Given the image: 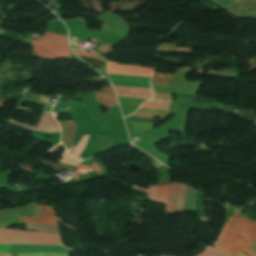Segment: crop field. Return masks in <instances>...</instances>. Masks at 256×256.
I'll use <instances>...</instances> for the list:
<instances>
[{
	"label": "crop field",
	"mask_w": 256,
	"mask_h": 256,
	"mask_svg": "<svg viewBox=\"0 0 256 256\" xmlns=\"http://www.w3.org/2000/svg\"><path fill=\"white\" fill-rule=\"evenodd\" d=\"M256 240V222L233 214L215 246L235 256H256L250 251Z\"/></svg>",
	"instance_id": "8a807250"
},
{
	"label": "crop field",
	"mask_w": 256,
	"mask_h": 256,
	"mask_svg": "<svg viewBox=\"0 0 256 256\" xmlns=\"http://www.w3.org/2000/svg\"><path fill=\"white\" fill-rule=\"evenodd\" d=\"M107 73L151 76L154 68L118 65L107 62ZM108 74L113 85L150 88V77ZM114 86L118 96L149 99L152 89Z\"/></svg>",
	"instance_id": "ac0d7876"
},
{
	"label": "crop field",
	"mask_w": 256,
	"mask_h": 256,
	"mask_svg": "<svg viewBox=\"0 0 256 256\" xmlns=\"http://www.w3.org/2000/svg\"><path fill=\"white\" fill-rule=\"evenodd\" d=\"M33 55L51 58L69 56L67 36L46 32L39 40H34Z\"/></svg>",
	"instance_id": "34b2d1b8"
},
{
	"label": "crop field",
	"mask_w": 256,
	"mask_h": 256,
	"mask_svg": "<svg viewBox=\"0 0 256 256\" xmlns=\"http://www.w3.org/2000/svg\"><path fill=\"white\" fill-rule=\"evenodd\" d=\"M0 243L57 244V235L0 229Z\"/></svg>",
	"instance_id": "412701ff"
},
{
	"label": "crop field",
	"mask_w": 256,
	"mask_h": 256,
	"mask_svg": "<svg viewBox=\"0 0 256 256\" xmlns=\"http://www.w3.org/2000/svg\"><path fill=\"white\" fill-rule=\"evenodd\" d=\"M6 122L32 132H34L35 130L42 132H59L58 125L53 116L42 115L38 127L36 126L37 128L16 122L11 119L7 120Z\"/></svg>",
	"instance_id": "f4fd0767"
},
{
	"label": "crop field",
	"mask_w": 256,
	"mask_h": 256,
	"mask_svg": "<svg viewBox=\"0 0 256 256\" xmlns=\"http://www.w3.org/2000/svg\"><path fill=\"white\" fill-rule=\"evenodd\" d=\"M24 251H63L66 250L62 246H31V245H0V252H24Z\"/></svg>",
	"instance_id": "dd49c442"
},
{
	"label": "crop field",
	"mask_w": 256,
	"mask_h": 256,
	"mask_svg": "<svg viewBox=\"0 0 256 256\" xmlns=\"http://www.w3.org/2000/svg\"><path fill=\"white\" fill-rule=\"evenodd\" d=\"M179 184L172 183L166 203V208H165V214H173L174 211V198H175V193L178 188ZM170 185H163L159 187V193H158V199L157 202L165 204L168 190H169Z\"/></svg>",
	"instance_id": "e52e79f7"
},
{
	"label": "crop field",
	"mask_w": 256,
	"mask_h": 256,
	"mask_svg": "<svg viewBox=\"0 0 256 256\" xmlns=\"http://www.w3.org/2000/svg\"><path fill=\"white\" fill-rule=\"evenodd\" d=\"M103 88L104 89H102V91L95 92L96 100L99 103L108 107H112L116 105L117 104L116 98L111 86L103 87Z\"/></svg>",
	"instance_id": "d8731c3e"
},
{
	"label": "crop field",
	"mask_w": 256,
	"mask_h": 256,
	"mask_svg": "<svg viewBox=\"0 0 256 256\" xmlns=\"http://www.w3.org/2000/svg\"><path fill=\"white\" fill-rule=\"evenodd\" d=\"M62 129V143L67 147L73 144L75 125L74 121L71 122H59Z\"/></svg>",
	"instance_id": "5a996713"
},
{
	"label": "crop field",
	"mask_w": 256,
	"mask_h": 256,
	"mask_svg": "<svg viewBox=\"0 0 256 256\" xmlns=\"http://www.w3.org/2000/svg\"><path fill=\"white\" fill-rule=\"evenodd\" d=\"M169 102L170 100H157V99H150L141 106V108L144 109H163V110H168L169 108Z\"/></svg>",
	"instance_id": "3316defc"
},
{
	"label": "crop field",
	"mask_w": 256,
	"mask_h": 256,
	"mask_svg": "<svg viewBox=\"0 0 256 256\" xmlns=\"http://www.w3.org/2000/svg\"><path fill=\"white\" fill-rule=\"evenodd\" d=\"M69 253L62 252H24L11 253V256H68Z\"/></svg>",
	"instance_id": "28ad6ade"
},
{
	"label": "crop field",
	"mask_w": 256,
	"mask_h": 256,
	"mask_svg": "<svg viewBox=\"0 0 256 256\" xmlns=\"http://www.w3.org/2000/svg\"><path fill=\"white\" fill-rule=\"evenodd\" d=\"M25 223H40V224H51L56 225L55 219H47V218H33V217H19Z\"/></svg>",
	"instance_id": "d1516ede"
},
{
	"label": "crop field",
	"mask_w": 256,
	"mask_h": 256,
	"mask_svg": "<svg viewBox=\"0 0 256 256\" xmlns=\"http://www.w3.org/2000/svg\"><path fill=\"white\" fill-rule=\"evenodd\" d=\"M38 217L56 218V213L48 206L39 205Z\"/></svg>",
	"instance_id": "22f410ed"
},
{
	"label": "crop field",
	"mask_w": 256,
	"mask_h": 256,
	"mask_svg": "<svg viewBox=\"0 0 256 256\" xmlns=\"http://www.w3.org/2000/svg\"><path fill=\"white\" fill-rule=\"evenodd\" d=\"M38 160L42 161V165H47V166H51L53 167L54 170H57V171H60V172H63L62 170L64 169H69L71 168L72 166L70 165H64V164H56V163H52V162H49V161H45V160H42V159H39Z\"/></svg>",
	"instance_id": "cbeb9de0"
},
{
	"label": "crop field",
	"mask_w": 256,
	"mask_h": 256,
	"mask_svg": "<svg viewBox=\"0 0 256 256\" xmlns=\"http://www.w3.org/2000/svg\"><path fill=\"white\" fill-rule=\"evenodd\" d=\"M198 256H228V255H226L214 248L207 246L206 249Z\"/></svg>",
	"instance_id": "5142ce71"
},
{
	"label": "crop field",
	"mask_w": 256,
	"mask_h": 256,
	"mask_svg": "<svg viewBox=\"0 0 256 256\" xmlns=\"http://www.w3.org/2000/svg\"><path fill=\"white\" fill-rule=\"evenodd\" d=\"M171 80V75L167 74H154L151 82L169 83Z\"/></svg>",
	"instance_id": "d9b57169"
},
{
	"label": "crop field",
	"mask_w": 256,
	"mask_h": 256,
	"mask_svg": "<svg viewBox=\"0 0 256 256\" xmlns=\"http://www.w3.org/2000/svg\"><path fill=\"white\" fill-rule=\"evenodd\" d=\"M89 136H84L81 141L78 143L77 147L74 149V151L72 152V155H74L78 160H83L81 158H79V154L80 152L82 151L87 139H88Z\"/></svg>",
	"instance_id": "733c2abd"
},
{
	"label": "crop field",
	"mask_w": 256,
	"mask_h": 256,
	"mask_svg": "<svg viewBox=\"0 0 256 256\" xmlns=\"http://www.w3.org/2000/svg\"><path fill=\"white\" fill-rule=\"evenodd\" d=\"M157 192L158 186H148V199L156 202Z\"/></svg>",
	"instance_id": "4a817a6b"
},
{
	"label": "crop field",
	"mask_w": 256,
	"mask_h": 256,
	"mask_svg": "<svg viewBox=\"0 0 256 256\" xmlns=\"http://www.w3.org/2000/svg\"><path fill=\"white\" fill-rule=\"evenodd\" d=\"M60 162L74 165L75 163H77V160L66 152L65 156L62 160H60Z\"/></svg>",
	"instance_id": "bc2a9ffb"
},
{
	"label": "crop field",
	"mask_w": 256,
	"mask_h": 256,
	"mask_svg": "<svg viewBox=\"0 0 256 256\" xmlns=\"http://www.w3.org/2000/svg\"><path fill=\"white\" fill-rule=\"evenodd\" d=\"M75 53L77 55H82V56H86V57H89V58H95V59H100V60H104L102 58H98L96 57L94 54H90V53H86L85 51H79V50H74ZM105 61V60H104Z\"/></svg>",
	"instance_id": "214f88e0"
},
{
	"label": "crop field",
	"mask_w": 256,
	"mask_h": 256,
	"mask_svg": "<svg viewBox=\"0 0 256 256\" xmlns=\"http://www.w3.org/2000/svg\"><path fill=\"white\" fill-rule=\"evenodd\" d=\"M76 168H78V172H92L93 170L85 167V166H81V165H77Z\"/></svg>",
	"instance_id": "92a150f3"
},
{
	"label": "crop field",
	"mask_w": 256,
	"mask_h": 256,
	"mask_svg": "<svg viewBox=\"0 0 256 256\" xmlns=\"http://www.w3.org/2000/svg\"><path fill=\"white\" fill-rule=\"evenodd\" d=\"M100 46H102L100 52H104V53H109V51L113 48L112 46H108L104 44H100Z\"/></svg>",
	"instance_id": "dafd665d"
},
{
	"label": "crop field",
	"mask_w": 256,
	"mask_h": 256,
	"mask_svg": "<svg viewBox=\"0 0 256 256\" xmlns=\"http://www.w3.org/2000/svg\"><path fill=\"white\" fill-rule=\"evenodd\" d=\"M216 3L220 4L221 6H226L227 4H229L230 2H232L233 0H214Z\"/></svg>",
	"instance_id": "00972430"
},
{
	"label": "crop field",
	"mask_w": 256,
	"mask_h": 256,
	"mask_svg": "<svg viewBox=\"0 0 256 256\" xmlns=\"http://www.w3.org/2000/svg\"><path fill=\"white\" fill-rule=\"evenodd\" d=\"M95 164H96V163H95ZM95 164L93 163L91 167L98 173V172H100V171L102 170V168H101L100 165L97 164V165L101 168V170H100L99 167H98L97 165H95ZM101 172H102V171H101ZM101 172H100V173H101ZM100 173H99V174H100Z\"/></svg>",
	"instance_id": "a9b5d70f"
},
{
	"label": "crop field",
	"mask_w": 256,
	"mask_h": 256,
	"mask_svg": "<svg viewBox=\"0 0 256 256\" xmlns=\"http://www.w3.org/2000/svg\"><path fill=\"white\" fill-rule=\"evenodd\" d=\"M132 187L136 188V189H139V190H142V191H145V192L147 191L146 189H143V188H140V187H137V186H134V185Z\"/></svg>",
	"instance_id": "4177f3b9"
}]
</instances>
